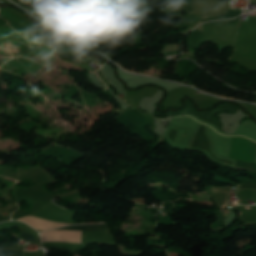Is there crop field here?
Here are the masks:
<instances>
[{
	"mask_svg": "<svg viewBox=\"0 0 256 256\" xmlns=\"http://www.w3.org/2000/svg\"><path fill=\"white\" fill-rule=\"evenodd\" d=\"M229 157L252 164L256 157V143L248 139L232 137Z\"/></svg>",
	"mask_w": 256,
	"mask_h": 256,
	"instance_id": "crop-field-1",
	"label": "crop field"
},
{
	"mask_svg": "<svg viewBox=\"0 0 256 256\" xmlns=\"http://www.w3.org/2000/svg\"><path fill=\"white\" fill-rule=\"evenodd\" d=\"M107 228L105 224L101 225H81V226H71L62 228L61 230H75V231H100Z\"/></svg>",
	"mask_w": 256,
	"mask_h": 256,
	"instance_id": "crop-field-2",
	"label": "crop field"
},
{
	"mask_svg": "<svg viewBox=\"0 0 256 256\" xmlns=\"http://www.w3.org/2000/svg\"><path fill=\"white\" fill-rule=\"evenodd\" d=\"M234 169L256 172V166L240 163L237 161L235 163Z\"/></svg>",
	"mask_w": 256,
	"mask_h": 256,
	"instance_id": "crop-field-3",
	"label": "crop field"
},
{
	"mask_svg": "<svg viewBox=\"0 0 256 256\" xmlns=\"http://www.w3.org/2000/svg\"><path fill=\"white\" fill-rule=\"evenodd\" d=\"M0 256H22L19 250H0Z\"/></svg>",
	"mask_w": 256,
	"mask_h": 256,
	"instance_id": "crop-field-4",
	"label": "crop field"
},
{
	"mask_svg": "<svg viewBox=\"0 0 256 256\" xmlns=\"http://www.w3.org/2000/svg\"><path fill=\"white\" fill-rule=\"evenodd\" d=\"M20 235L26 242H32L35 243L34 239L32 238L31 234L21 232Z\"/></svg>",
	"mask_w": 256,
	"mask_h": 256,
	"instance_id": "crop-field-5",
	"label": "crop field"
},
{
	"mask_svg": "<svg viewBox=\"0 0 256 256\" xmlns=\"http://www.w3.org/2000/svg\"><path fill=\"white\" fill-rule=\"evenodd\" d=\"M48 251L49 254L47 256H60V250L58 249L49 248Z\"/></svg>",
	"mask_w": 256,
	"mask_h": 256,
	"instance_id": "crop-field-6",
	"label": "crop field"
},
{
	"mask_svg": "<svg viewBox=\"0 0 256 256\" xmlns=\"http://www.w3.org/2000/svg\"><path fill=\"white\" fill-rule=\"evenodd\" d=\"M223 1H227V2H229V0H223Z\"/></svg>",
	"mask_w": 256,
	"mask_h": 256,
	"instance_id": "crop-field-7",
	"label": "crop field"
}]
</instances>
